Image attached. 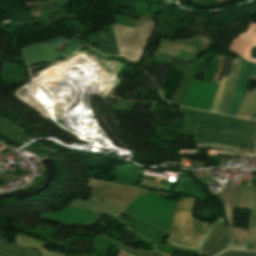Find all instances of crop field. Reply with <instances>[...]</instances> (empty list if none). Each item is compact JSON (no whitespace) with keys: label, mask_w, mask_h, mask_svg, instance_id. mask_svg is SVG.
<instances>
[{"label":"crop field","mask_w":256,"mask_h":256,"mask_svg":"<svg viewBox=\"0 0 256 256\" xmlns=\"http://www.w3.org/2000/svg\"><path fill=\"white\" fill-rule=\"evenodd\" d=\"M179 109L187 114L196 142L251 149L256 130L255 123L183 107Z\"/></svg>","instance_id":"crop-field-1"},{"label":"crop field","mask_w":256,"mask_h":256,"mask_svg":"<svg viewBox=\"0 0 256 256\" xmlns=\"http://www.w3.org/2000/svg\"><path fill=\"white\" fill-rule=\"evenodd\" d=\"M194 201L182 197L174 214V226L168 241L176 246L197 249L207 224L191 217Z\"/></svg>","instance_id":"crop-field-2"},{"label":"crop field","mask_w":256,"mask_h":256,"mask_svg":"<svg viewBox=\"0 0 256 256\" xmlns=\"http://www.w3.org/2000/svg\"><path fill=\"white\" fill-rule=\"evenodd\" d=\"M87 187L93 188L88 200L98 201L99 197L104 198V203L126 208L127 204L147 190L110 183L102 180L89 178Z\"/></svg>","instance_id":"crop-field-3"},{"label":"crop field","mask_w":256,"mask_h":256,"mask_svg":"<svg viewBox=\"0 0 256 256\" xmlns=\"http://www.w3.org/2000/svg\"><path fill=\"white\" fill-rule=\"evenodd\" d=\"M80 42V37L76 36L64 47V49L60 53L42 43L30 45L22 49L26 66H32L45 61L54 63L59 58L63 56L67 57L73 51H75L79 46Z\"/></svg>","instance_id":"crop-field-4"},{"label":"crop field","mask_w":256,"mask_h":256,"mask_svg":"<svg viewBox=\"0 0 256 256\" xmlns=\"http://www.w3.org/2000/svg\"><path fill=\"white\" fill-rule=\"evenodd\" d=\"M231 242L237 241L232 237L224 222L211 224L200 244L197 254L216 256L227 250Z\"/></svg>","instance_id":"crop-field-5"},{"label":"crop field","mask_w":256,"mask_h":256,"mask_svg":"<svg viewBox=\"0 0 256 256\" xmlns=\"http://www.w3.org/2000/svg\"><path fill=\"white\" fill-rule=\"evenodd\" d=\"M256 47V24L250 23L248 30L235 37L229 46V50L240 55L246 61L256 63V59L250 57L251 49Z\"/></svg>","instance_id":"crop-field-6"},{"label":"crop field","mask_w":256,"mask_h":256,"mask_svg":"<svg viewBox=\"0 0 256 256\" xmlns=\"http://www.w3.org/2000/svg\"><path fill=\"white\" fill-rule=\"evenodd\" d=\"M239 188L240 186H225L223 191L219 194V198L225 205L228 226L230 227L237 240L244 243L245 229L233 227L232 223V214L238 197Z\"/></svg>","instance_id":"crop-field-7"},{"label":"crop field","mask_w":256,"mask_h":256,"mask_svg":"<svg viewBox=\"0 0 256 256\" xmlns=\"http://www.w3.org/2000/svg\"><path fill=\"white\" fill-rule=\"evenodd\" d=\"M249 75L256 76V64L248 63L244 60L241 61V67L238 75L237 85L234 97L229 108V115L235 116L239 108L240 102L244 95L249 80ZM229 112V111H228ZM228 114V113H227Z\"/></svg>","instance_id":"crop-field-8"},{"label":"crop field","mask_w":256,"mask_h":256,"mask_svg":"<svg viewBox=\"0 0 256 256\" xmlns=\"http://www.w3.org/2000/svg\"><path fill=\"white\" fill-rule=\"evenodd\" d=\"M101 44L94 47L96 50L107 55H120L114 38L112 25L92 34Z\"/></svg>","instance_id":"crop-field-9"},{"label":"crop field","mask_w":256,"mask_h":256,"mask_svg":"<svg viewBox=\"0 0 256 256\" xmlns=\"http://www.w3.org/2000/svg\"><path fill=\"white\" fill-rule=\"evenodd\" d=\"M240 61L241 60H233L232 61L231 69H230L228 80H227L226 90L223 95L221 105H220V108L218 111L220 113L226 114L227 110L230 106L231 98L233 95V91L235 88L236 79H237V75H238V71H239V67H240Z\"/></svg>","instance_id":"crop-field-10"},{"label":"crop field","mask_w":256,"mask_h":256,"mask_svg":"<svg viewBox=\"0 0 256 256\" xmlns=\"http://www.w3.org/2000/svg\"><path fill=\"white\" fill-rule=\"evenodd\" d=\"M0 256H42V253L3 240L0 241Z\"/></svg>","instance_id":"crop-field-11"},{"label":"crop field","mask_w":256,"mask_h":256,"mask_svg":"<svg viewBox=\"0 0 256 256\" xmlns=\"http://www.w3.org/2000/svg\"><path fill=\"white\" fill-rule=\"evenodd\" d=\"M71 206L79 207V208H84V209H89V210H94V211H99V212H104L112 215L119 216L123 209L106 205V204H101V203H95V202H89L81 199H77L74 201Z\"/></svg>","instance_id":"crop-field-12"},{"label":"crop field","mask_w":256,"mask_h":256,"mask_svg":"<svg viewBox=\"0 0 256 256\" xmlns=\"http://www.w3.org/2000/svg\"><path fill=\"white\" fill-rule=\"evenodd\" d=\"M245 250L256 251V188H254V201L249 219V231Z\"/></svg>","instance_id":"crop-field-13"},{"label":"crop field","mask_w":256,"mask_h":256,"mask_svg":"<svg viewBox=\"0 0 256 256\" xmlns=\"http://www.w3.org/2000/svg\"><path fill=\"white\" fill-rule=\"evenodd\" d=\"M251 201H252V195H251L250 187L242 186L236 207L250 209Z\"/></svg>","instance_id":"crop-field-14"},{"label":"crop field","mask_w":256,"mask_h":256,"mask_svg":"<svg viewBox=\"0 0 256 256\" xmlns=\"http://www.w3.org/2000/svg\"><path fill=\"white\" fill-rule=\"evenodd\" d=\"M226 80L227 78H224V77L220 78L219 86H218L215 98L213 100L211 111H214V112L218 111L219 104H220L223 92L225 90Z\"/></svg>","instance_id":"crop-field-15"},{"label":"crop field","mask_w":256,"mask_h":256,"mask_svg":"<svg viewBox=\"0 0 256 256\" xmlns=\"http://www.w3.org/2000/svg\"><path fill=\"white\" fill-rule=\"evenodd\" d=\"M167 64L172 65L178 69L186 70L190 65V62L171 56Z\"/></svg>","instance_id":"crop-field-16"},{"label":"crop field","mask_w":256,"mask_h":256,"mask_svg":"<svg viewBox=\"0 0 256 256\" xmlns=\"http://www.w3.org/2000/svg\"><path fill=\"white\" fill-rule=\"evenodd\" d=\"M219 256H256V253L230 250L220 254Z\"/></svg>","instance_id":"crop-field-17"},{"label":"crop field","mask_w":256,"mask_h":256,"mask_svg":"<svg viewBox=\"0 0 256 256\" xmlns=\"http://www.w3.org/2000/svg\"><path fill=\"white\" fill-rule=\"evenodd\" d=\"M195 148H216V149H223L229 151H238V148L214 145V144H196Z\"/></svg>","instance_id":"crop-field-18"},{"label":"crop field","mask_w":256,"mask_h":256,"mask_svg":"<svg viewBox=\"0 0 256 256\" xmlns=\"http://www.w3.org/2000/svg\"><path fill=\"white\" fill-rule=\"evenodd\" d=\"M0 239H5V237H4V235H3L1 230H0Z\"/></svg>","instance_id":"crop-field-19"},{"label":"crop field","mask_w":256,"mask_h":256,"mask_svg":"<svg viewBox=\"0 0 256 256\" xmlns=\"http://www.w3.org/2000/svg\"><path fill=\"white\" fill-rule=\"evenodd\" d=\"M128 256H133V255L129 254Z\"/></svg>","instance_id":"crop-field-20"}]
</instances>
